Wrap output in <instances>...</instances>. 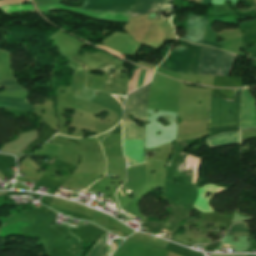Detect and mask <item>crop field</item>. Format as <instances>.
<instances>
[{"mask_svg": "<svg viewBox=\"0 0 256 256\" xmlns=\"http://www.w3.org/2000/svg\"><path fill=\"white\" fill-rule=\"evenodd\" d=\"M150 84L131 93L127 96L123 120H129L128 115H133L134 119L145 121L148 101H149ZM123 122V139L144 140V129L137 128L134 121Z\"/></svg>", "mask_w": 256, "mask_h": 256, "instance_id": "1", "label": "crop field"}, {"mask_svg": "<svg viewBox=\"0 0 256 256\" xmlns=\"http://www.w3.org/2000/svg\"><path fill=\"white\" fill-rule=\"evenodd\" d=\"M234 93V102L211 95L209 133L216 128L239 126L241 90H234Z\"/></svg>", "mask_w": 256, "mask_h": 256, "instance_id": "2", "label": "crop field"}, {"mask_svg": "<svg viewBox=\"0 0 256 256\" xmlns=\"http://www.w3.org/2000/svg\"><path fill=\"white\" fill-rule=\"evenodd\" d=\"M68 61H70L69 66L75 70V74L72 77L71 86L69 87L75 97L106 107L122 117V106L119 104V102L116 101L111 95L101 92H99V95H96V92L98 91L85 88L84 85L86 77L83 66L70 59Z\"/></svg>", "mask_w": 256, "mask_h": 256, "instance_id": "3", "label": "crop field"}, {"mask_svg": "<svg viewBox=\"0 0 256 256\" xmlns=\"http://www.w3.org/2000/svg\"><path fill=\"white\" fill-rule=\"evenodd\" d=\"M200 57L198 74L228 76L238 56L203 46Z\"/></svg>", "mask_w": 256, "mask_h": 256, "instance_id": "4", "label": "crop field"}, {"mask_svg": "<svg viewBox=\"0 0 256 256\" xmlns=\"http://www.w3.org/2000/svg\"><path fill=\"white\" fill-rule=\"evenodd\" d=\"M183 43L186 47H179L175 52H170L159 67L178 73L197 74L199 54L202 46H196L186 41Z\"/></svg>", "mask_w": 256, "mask_h": 256, "instance_id": "5", "label": "crop field"}, {"mask_svg": "<svg viewBox=\"0 0 256 256\" xmlns=\"http://www.w3.org/2000/svg\"><path fill=\"white\" fill-rule=\"evenodd\" d=\"M85 66V69L88 70H102L104 72H109V68H116L117 66L121 65V60L106 54L102 51L95 55L89 54H82V55H75L71 58Z\"/></svg>", "mask_w": 256, "mask_h": 256, "instance_id": "6", "label": "crop field"}, {"mask_svg": "<svg viewBox=\"0 0 256 256\" xmlns=\"http://www.w3.org/2000/svg\"><path fill=\"white\" fill-rule=\"evenodd\" d=\"M137 0H85L82 7L131 14Z\"/></svg>", "mask_w": 256, "mask_h": 256, "instance_id": "7", "label": "crop field"}, {"mask_svg": "<svg viewBox=\"0 0 256 256\" xmlns=\"http://www.w3.org/2000/svg\"><path fill=\"white\" fill-rule=\"evenodd\" d=\"M122 77H124V79H121ZM126 88H127V75H122L121 72L116 71L107 77L105 83L101 88V91H105L110 94L114 92L113 95L117 98V100L123 106Z\"/></svg>", "mask_w": 256, "mask_h": 256, "instance_id": "8", "label": "crop field"}, {"mask_svg": "<svg viewBox=\"0 0 256 256\" xmlns=\"http://www.w3.org/2000/svg\"><path fill=\"white\" fill-rule=\"evenodd\" d=\"M249 90H242L240 126H256V100L249 95Z\"/></svg>", "mask_w": 256, "mask_h": 256, "instance_id": "9", "label": "crop field"}, {"mask_svg": "<svg viewBox=\"0 0 256 256\" xmlns=\"http://www.w3.org/2000/svg\"><path fill=\"white\" fill-rule=\"evenodd\" d=\"M2 86L6 87L7 91L21 89L20 87L17 86L14 79L0 81V87ZM0 106L15 108V109H23V110L34 112L33 106L28 104L26 99L0 97Z\"/></svg>", "mask_w": 256, "mask_h": 256, "instance_id": "10", "label": "crop field"}, {"mask_svg": "<svg viewBox=\"0 0 256 256\" xmlns=\"http://www.w3.org/2000/svg\"><path fill=\"white\" fill-rule=\"evenodd\" d=\"M207 21V19L188 14V28L185 39L196 44H202Z\"/></svg>", "mask_w": 256, "mask_h": 256, "instance_id": "11", "label": "crop field"}, {"mask_svg": "<svg viewBox=\"0 0 256 256\" xmlns=\"http://www.w3.org/2000/svg\"><path fill=\"white\" fill-rule=\"evenodd\" d=\"M225 189L226 188L212 186V185L207 184L202 189H199V198H198V200H197V202H196L194 207H196L201 212L212 211L210 206H209V202H210L212 196L215 193H220V192H222ZM207 192L212 193V195L206 199V198H204V194L207 193Z\"/></svg>", "mask_w": 256, "mask_h": 256, "instance_id": "12", "label": "crop field"}, {"mask_svg": "<svg viewBox=\"0 0 256 256\" xmlns=\"http://www.w3.org/2000/svg\"><path fill=\"white\" fill-rule=\"evenodd\" d=\"M207 142L211 148L239 144V132L221 133L208 138Z\"/></svg>", "mask_w": 256, "mask_h": 256, "instance_id": "13", "label": "crop field"}, {"mask_svg": "<svg viewBox=\"0 0 256 256\" xmlns=\"http://www.w3.org/2000/svg\"><path fill=\"white\" fill-rule=\"evenodd\" d=\"M248 232L249 229L246 223H237L230 228L226 237L245 236L249 235Z\"/></svg>", "mask_w": 256, "mask_h": 256, "instance_id": "14", "label": "crop field"}, {"mask_svg": "<svg viewBox=\"0 0 256 256\" xmlns=\"http://www.w3.org/2000/svg\"><path fill=\"white\" fill-rule=\"evenodd\" d=\"M155 0H138L131 17L148 13Z\"/></svg>", "mask_w": 256, "mask_h": 256, "instance_id": "15", "label": "crop field"}, {"mask_svg": "<svg viewBox=\"0 0 256 256\" xmlns=\"http://www.w3.org/2000/svg\"><path fill=\"white\" fill-rule=\"evenodd\" d=\"M216 37H217V33L213 32L212 29H207L203 44L221 49L224 42L215 43Z\"/></svg>", "mask_w": 256, "mask_h": 256, "instance_id": "16", "label": "crop field"}, {"mask_svg": "<svg viewBox=\"0 0 256 256\" xmlns=\"http://www.w3.org/2000/svg\"><path fill=\"white\" fill-rule=\"evenodd\" d=\"M0 8L5 12V14L24 12V11L35 12L32 5H16V6H6V7H0Z\"/></svg>", "mask_w": 256, "mask_h": 256, "instance_id": "17", "label": "crop field"}, {"mask_svg": "<svg viewBox=\"0 0 256 256\" xmlns=\"http://www.w3.org/2000/svg\"><path fill=\"white\" fill-rule=\"evenodd\" d=\"M160 10L172 11L169 7V0H156L150 13Z\"/></svg>", "mask_w": 256, "mask_h": 256, "instance_id": "18", "label": "crop field"}, {"mask_svg": "<svg viewBox=\"0 0 256 256\" xmlns=\"http://www.w3.org/2000/svg\"><path fill=\"white\" fill-rule=\"evenodd\" d=\"M143 73H144V69H141L136 89L141 87V83H142V79H143ZM151 75H152V72H149V71L145 70L142 86H144L145 84H147L151 80Z\"/></svg>", "mask_w": 256, "mask_h": 256, "instance_id": "19", "label": "crop field"}, {"mask_svg": "<svg viewBox=\"0 0 256 256\" xmlns=\"http://www.w3.org/2000/svg\"><path fill=\"white\" fill-rule=\"evenodd\" d=\"M103 247H104V244H103ZM103 247H102V244H101V242L99 240L96 243V245L94 246L93 250L89 253L88 256H104ZM104 251H105V249H104ZM105 256H106V253H105Z\"/></svg>", "mask_w": 256, "mask_h": 256, "instance_id": "20", "label": "crop field"}, {"mask_svg": "<svg viewBox=\"0 0 256 256\" xmlns=\"http://www.w3.org/2000/svg\"><path fill=\"white\" fill-rule=\"evenodd\" d=\"M139 71H140V68H136L135 67L132 79H131V81H129L128 93L135 90L136 84H137V80H138Z\"/></svg>", "mask_w": 256, "mask_h": 256, "instance_id": "21", "label": "crop field"}, {"mask_svg": "<svg viewBox=\"0 0 256 256\" xmlns=\"http://www.w3.org/2000/svg\"><path fill=\"white\" fill-rule=\"evenodd\" d=\"M111 134H121V123L113 129Z\"/></svg>", "mask_w": 256, "mask_h": 256, "instance_id": "22", "label": "crop field"}, {"mask_svg": "<svg viewBox=\"0 0 256 256\" xmlns=\"http://www.w3.org/2000/svg\"><path fill=\"white\" fill-rule=\"evenodd\" d=\"M97 46H99V47H101V48H103V49H105V50H107V51H109V52H111V53L117 54L118 56L124 58V55H122V54H120V53H118V52H116V51H112V50H110V49H108V48H106V47H104V46H102V45H97Z\"/></svg>", "mask_w": 256, "mask_h": 256, "instance_id": "23", "label": "crop field"}, {"mask_svg": "<svg viewBox=\"0 0 256 256\" xmlns=\"http://www.w3.org/2000/svg\"><path fill=\"white\" fill-rule=\"evenodd\" d=\"M127 159H129V166H131V165H136L137 164V162L136 161H134L133 159H131V158H128L127 156H125Z\"/></svg>", "mask_w": 256, "mask_h": 256, "instance_id": "24", "label": "crop field"}]
</instances>
